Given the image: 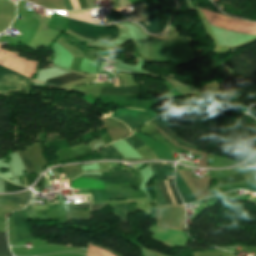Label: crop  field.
<instances>
[{
    "label": "crop field",
    "mask_w": 256,
    "mask_h": 256,
    "mask_svg": "<svg viewBox=\"0 0 256 256\" xmlns=\"http://www.w3.org/2000/svg\"><path fill=\"white\" fill-rule=\"evenodd\" d=\"M114 86H119L118 78L114 79ZM101 93L124 95L131 93H139L137 86L130 87H103Z\"/></svg>",
    "instance_id": "crop-field-7"
},
{
    "label": "crop field",
    "mask_w": 256,
    "mask_h": 256,
    "mask_svg": "<svg viewBox=\"0 0 256 256\" xmlns=\"http://www.w3.org/2000/svg\"><path fill=\"white\" fill-rule=\"evenodd\" d=\"M38 175L39 174H34V175H31V176H26L28 184L31 185L34 182V180L37 178Z\"/></svg>",
    "instance_id": "crop-field-24"
},
{
    "label": "crop field",
    "mask_w": 256,
    "mask_h": 256,
    "mask_svg": "<svg viewBox=\"0 0 256 256\" xmlns=\"http://www.w3.org/2000/svg\"><path fill=\"white\" fill-rule=\"evenodd\" d=\"M42 177H41V179L38 181V183L34 186V187H40L41 186V183H42Z\"/></svg>",
    "instance_id": "crop-field-29"
},
{
    "label": "crop field",
    "mask_w": 256,
    "mask_h": 256,
    "mask_svg": "<svg viewBox=\"0 0 256 256\" xmlns=\"http://www.w3.org/2000/svg\"><path fill=\"white\" fill-rule=\"evenodd\" d=\"M151 167H152V170L154 172L155 180L166 179L165 173H164L160 164H153V165H151Z\"/></svg>",
    "instance_id": "crop-field-18"
},
{
    "label": "crop field",
    "mask_w": 256,
    "mask_h": 256,
    "mask_svg": "<svg viewBox=\"0 0 256 256\" xmlns=\"http://www.w3.org/2000/svg\"><path fill=\"white\" fill-rule=\"evenodd\" d=\"M13 220L16 226V242L34 239L26 217H22L16 213L14 214Z\"/></svg>",
    "instance_id": "crop-field-4"
},
{
    "label": "crop field",
    "mask_w": 256,
    "mask_h": 256,
    "mask_svg": "<svg viewBox=\"0 0 256 256\" xmlns=\"http://www.w3.org/2000/svg\"><path fill=\"white\" fill-rule=\"evenodd\" d=\"M157 116V113L153 111H141V110H133V109H118L115 114H113L111 117H114L124 123L127 124V126L130 127V129H134L137 126L151 120Z\"/></svg>",
    "instance_id": "crop-field-2"
},
{
    "label": "crop field",
    "mask_w": 256,
    "mask_h": 256,
    "mask_svg": "<svg viewBox=\"0 0 256 256\" xmlns=\"http://www.w3.org/2000/svg\"><path fill=\"white\" fill-rule=\"evenodd\" d=\"M77 209H86L90 208V205H76Z\"/></svg>",
    "instance_id": "crop-field-27"
},
{
    "label": "crop field",
    "mask_w": 256,
    "mask_h": 256,
    "mask_svg": "<svg viewBox=\"0 0 256 256\" xmlns=\"http://www.w3.org/2000/svg\"><path fill=\"white\" fill-rule=\"evenodd\" d=\"M79 2H80V5H81V8H82V9L87 8V7H86L85 0H79Z\"/></svg>",
    "instance_id": "crop-field-28"
},
{
    "label": "crop field",
    "mask_w": 256,
    "mask_h": 256,
    "mask_svg": "<svg viewBox=\"0 0 256 256\" xmlns=\"http://www.w3.org/2000/svg\"><path fill=\"white\" fill-rule=\"evenodd\" d=\"M68 29L82 37L90 39H115L118 36V29L115 24L109 26H96L69 19Z\"/></svg>",
    "instance_id": "crop-field-1"
},
{
    "label": "crop field",
    "mask_w": 256,
    "mask_h": 256,
    "mask_svg": "<svg viewBox=\"0 0 256 256\" xmlns=\"http://www.w3.org/2000/svg\"><path fill=\"white\" fill-rule=\"evenodd\" d=\"M92 245V244H91ZM95 246V245H94ZM98 247V246H97ZM99 248H101V247H99ZM102 249H104V248H102ZM105 250H107V249H105ZM109 251V250H108ZM111 252V251H110ZM113 253V252H112ZM113 254H115V253H113ZM116 256H119V255H117V254H115Z\"/></svg>",
    "instance_id": "crop-field-30"
},
{
    "label": "crop field",
    "mask_w": 256,
    "mask_h": 256,
    "mask_svg": "<svg viewBox=\"0 0 256 256\" xmlns=\"http://www.w3.org/2000/svg\"><path fill=\"white\" fill-rule=\"evenodd\" d=\"M132 179V172H127L121 169H116L111 172V177L101 176L99 180H104V182H128Z\"/></svg>",
    "instance_id": "crop-field-9"
},
{
    "label": "crop field",
    "mask_w": 256,
    "mask_h": 256,
    "mask_svg": "<svg viewBox=\"0 0 256 256\" xmlns=\"http://www.w3.org/2000/svg\"><path fill=\"white\" fill-rule=\"evenodd\" d=\"M106 206H108V204H96V205H92V211H97V210H99V209H101V208H104V207H106Z\"/></svg>",
    "instance_id": "crop-field-25"
},
{
    "label": "crop field",
    "mask_w": 256,
    "mask_h": 256,
    "mask_svg": "<svg viewBox=\"0 0 256 256\" xmlns=\"http://www.w3.org/2000/svg\"><path fill=\"white\" fill-rule=\"evenodd\" d=\"M152 123H154L155 125H157L159 128H161L163 131H165L166 133L172 135L181 145L183 146H187V147H191L193 149L198 150V148L193 147L187 143H185L184 141H182L180 138L177 137V129H175L173 126L155 118L152 121H150Z\"/></svg>",
    "instance_id": "crop-field-10"
},
{
    "label": "crop field",
    "mask_w": 256,
    "mask_h": 256,
    "mask_svg": "<svg viewBox=\"0 0 256 256\" xmlns=\"http://www.w3.org/2000/svg\"><path fill=\"white\" fill-rule=\"evenodd\" d=\"M126 193H107L108 200L111 199H125Z\"/></svg>",
    "instance_id": "crop-field-21"
},
{
    "label": "crop field",
    "mask_w": 256,
    "mask_h": 256,
    "mask_svg": "<svg viewBox=\"0 0 256 256\" xmlns=\"http://www.w3.org/2000/svg\"><path fill=\"white\" fill-rule=\"evenodd\" d=\"M149 231L155 233L153 238L151 237L152 239L157 240L170 247H185L186 242L188 241L184 232L181 231L161 228L157 226H153Z\"/></svg>",
    "instance_id": "crop-field-3"
},
{
    "label": "crop field",
    "mask_w": 256,
    "mask_h": 256,
    "mask_svg": "<svg viewBox=\"0 0 256 256\" xmlns=\"http://www.w3.org/2000/svg\"><path fill=\"white\" fill-rule=\"evenodd\" d=\"M104 159H119L123 158V156L112 146L108 145L104 147L101 151H99Z\"/></svg>",
    "instance_id": "crop-field-14"
},
{
    "label": "crop field",
    "mask_w": 256,
    "mask_h": 256,
    "mask_svg": "<svg viewBox=\"0 0 256 256\" xmlns=\"http://www.w3.org/2000/svg\"><path fill=\"white\" fill-rule=\"evenodd\" d=\"M148 8L150 12V26L142 25L149 33L159 32V11H158V1L148 2Z\"/></svg>",
    "instance_id": "crop-field-5"
},
{
    "label": "crop field",
    "mask_w": 256,
    "mask_h": 256,
    "mask_svg": "<svg viewBox=\"0 0 256 256\" xmlns=\"http://www.w3.org/2000/svg\"><path fill=\"white\" fill-rule=\"evenodd\" d=\"M64 1H65L66 9L73 10L70 0H64Z\"/></svg>",
    "instance_id": "crop-field-26"
},
{
    "label": "crop field",
    "mask_w": 256,
    "mask_h": 256,
    "mask_svg": "<svg viewBox=\"0 0 256 256\" xmlns=\"http://www.w3.org/2000/svg\"><path fill=\"white\" fill-rule=\"evenodd\" d=\"M18 153H19V155L22 159V162H23L28 174L30 175V174L36 173L34 168H33L32 163L29 159V156H28L27 152L26 151H21V152H18Z\"/></svg>",
    "instance_id": "crop-field-17"
},
{
    "label": "crop field",
    "mask_w": 256,
    "mask_h": 256,
    "mask_svg": "<svg viewBox=\"0 0 256 256\" xmlns=\"http://www.w3.org/2000/svg\"><path fill=\"white\" fill-rule=\"evenodd\" d=\"M31 194L0 195V200L26 205ZM21 205V206H22Z\"/></svg>",
    "instance_id": "crop-field-13"
},
{
    "label": "crop field",
    "mask_w": 256,
    "mask_h": 256,
    "mask_svg": "<svg viewBox=\"0 0 256 256\" xmlns=\"http://www.w3.org/2000/svg\"><path fill=\"white\" fill-rule=\"evenodd\" d=\"M176 186L185 204L191 203L196 200L177 172H176Z\"/></svg>",
    "instance_id": "crop-field-11"
},
{
    "label": "crop field",
    "mask_w": 256,
    "mask_h": 256,
    "mask_svg": "<svg viewBox=\"0 0 256 256\" xmlns=\"http://www.w3.org/2000/svg\"><path fill=\"white\" fill-rule=\"evenodd\" d=\"M73 75H76V73L74 72H71L69 74H66V75H63V76H58L56 78H53V79H48L46 82H45V86L47 87H50V85L53 83V82H56L62 78H66V77H69V76H73ZM88 76H84V75H76V76H73V77H69V78H66V79H62L56 83H54L51 87H59L60 85L66 83V82H69V81H74V80H78V79H82V78H86Z\"/></svg>",
    "instance_id": "crop-field-12"
},
{
    "label": "crop field",
    "mask_w": 256,
    "mask_h": 256,
    "mask_svg": "<svg viewBox=\"0 0 256 256\" xmlns=\"http://www.w3.org/2000/svg\"><path fill=\"white\" fill-rule=\"evenodd\" d=\"M168 181H169V184H170V186H171V189H172V191H173V193H174V195H175V197H176L178 203H179V204H183L182 201H181V199H180V197H179V195H178V193H177V191H176V189H175V186H174V183H173V179H170V180H168ZM168 181H167V180L165 181L166 186H167V189H168V192H169V194H170V197H171L173 203H174V204H177V202H176V200H175V198H174V196H173V194H172V192H171V189H170V186H169V184H168ZM165 183H164V181H159V189H160L162 195L164 196V198H165V200H166V202H167V205H170V204H172V202H171V199H170L169 194H168V192H167Z\"/></svg>",
    "instance_id": "crop-field-6"
},
{
    "label": "crop field",
    "mask_w": 256,
    "mask_h": 256,
    "mask_svg": "<svg viewBox=\"0 0 256 256\" xmlns=\"http://www.w3.org/2000/svg\"><path fill=\"white\" fill-rule=\"evenodd\" d=\"M154 189H155V192H156V195H157L155 203L156 204H160V205L166 204L163 196L161 195V193H160V191L158 189V181L155 182Z\"/></svg>",
    "instance_id": "crop-field-20"
},
{
    "label": "crop field",
    "mask_w": 256,
    "mask_h": 256,
    "mask_svg": "<svg viewBox=\"0 0 256 256\" xmlns=\"http://www.w3.org/2000/svg\"><path fill=\"white\" fill-rule=\"evenodd\" d=\"M26 187H20V186H15L13 184H11L10 182H8V186L5 192H14V191H18L21 189H24Z\"/></svg>",
    "instance_id": "crop-field-23"
},
{
    "label": "crop field",
    "mask_w": 256,
    "mask_h": 256,
    "mask_svg": "<svg viewBox=\"0 0 256 256\" xmlns=\"http://www.w3.org/2000/svg\"><path fill=\"white\" fill-rule=\"evenodd\" d=\"M113 208H114L113 215L121 218V220H128L129 205H119Z\"/></svg>",
    "instance_id": "crop-field-15"
},
{
    "label": "crop field",
    "mask_w": 256,
    "mask_h": 256,
    "mask_svg": "<svg viewBox=\"0 0 256 256\" xmlns=\"http://www.w3.org/2000/svg\"><path fill=\"white\" fill-rule=\"evenodd\" d=\"M0 256H12L8 248L5 232H0Z\"/></svg>",
    "instance_id": "crop-field-16"
},
{
    "label": "crop field",
    "mask_w": 256,
    "mask_h": 256,
    "mask_svg": "<svg viewBox=\"0 0 256 256\" xmlns=\"http://www.w3.org/2000/svg\"><path fill=\"white\" fill-rule=\"evenodd\" d=\"M162 166H163L167 176H173L174 167L165 165V164H162ZM169 178H172V177H167V179H169Z\"/></svg>",
    "instance_id": "crop-field-22"
},
{
    "label": "crop field",
    "mask_w": 256,
    "mask_h": 256,
    "mask_svg": "<svg viewBox=\"0 0 256 256\" xmlns=\"http://www.w3.org/2000/svg\"><path fill=\"white\" fill-rule=\"evenodd\" d=\"M125 140H126L134 149L145 145L142 141L138 140L134 135L125 138Z\"/></svg>",
    "instance_id": "crop-field-19"
},
{
    "label": "crop field",
    "mask_w": 256,
    "mask_h": 256,
    "mask_svg": "<svg viewBox=\"0 0 256 256\" xmlns=\"http://www.w3.org/2000/svg\"><path fill=\"white\" fill-rule=\"evenodd\" d=\"M70 186H72V188L105 189L103 181L88 178H78L74 180Z\"/></svg>",
    "instance_id": "crop-field-8"
}]
</instances>
